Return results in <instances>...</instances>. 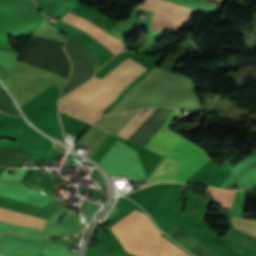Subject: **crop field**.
<instances>
[{"label": "crop field", "mask_w": 256, "mask_h": 256, "mask_svg": "<svg viewBox=\"0 0 256 256\" xmlns=\"http://www.w3.org/2000/svg\"><path fill=\"white\" fill-rule=\"evenodd\" d=\"M244 203H245L244 190L237 191L229 215L241 218Z\"/></svg>", "instance_id": "obj_13"}, {"label": "crop field", "mask_w": 256, "mask_h": 256, "mask_svg": "<svg viewBox=\"0 0 256 256\" xmlns=\"http://www.w3.org/2000/svg\"><path fill=\"white\" fill-rule=\"evenodd\" d=\"M162 246L158 256H190L170 241L165 238H161Z\"/></svg>", "instance_id": "obj_11"}, {"label": "crop field", "mask_w": 256, "mask_h": 256, "mask_svg": "<svg viewBox=\"0 0 256 256\" xmlns=\"http://www.w3.org/2000/svg\"><path fill=\"white\" fill-rule=\"evenodd\" d=\"M206 192L213 195V200L217 204L230 208L236 191H224L221 189L208 187Z\"/></svg>", "instance_id": "obj_10"}, {"label": "crop field", "mask_w": 256, "mask_h": 256, "mask_svg": "<svg viewBox=\"0 0 256 256\" xmlns=\"http://www.w3.org/2000/svg\"><path fill=\"white\" fill-rule=\"evenodd\" d=\"M0 206L49 219L53 212L42 207L0 196ZM0 207V221L42 230L47 219L15 212Z\"/></svg>", "instance_id": "obj_3"}, {"label": "crop field", "mask_w": 256, "mask_h": 256, "mask_svg": "<svg viewBox=\"0 0 256 256\" xmlns=\"http://www.w3.org/2000/svg\"><path fill=\"white\" fill-rule=\"evenodd\" d=\"M62 21L69 22L73 24L76 27L82 28L85 30L88 34H90L93 38H95L97 41L105 45L107 48H109L112 52L115 54L119 53L124 49L123 43L119 41L118 39L114 38L101 28L97 27L93 23L74 15L70 12H67V14L64 16Z\"/></svg>", "instance_id": "obj_7"}, {"label": "crop field", "mask_w": 256, "mask_h": 256, "mask_svg": "<svg viewBox=\"0 0 256 256\" xmlns=\"http://www.w3.org/2000/svg\"><path fill=\"white\" fill-rule=\"evenodd\" d=\"M199 147L195 145L190 152L179 162V164L167 175V177L187 160ZM210 157L201 148L185 161L163 182H184L196 170H198Z\"/></svg>", "instance_id": "obj_6"}, {"label": "crop field", "mask_w": 256, "mask_h": 256, "mask_svg": "<svg viewBox=\"0 0 256 256\" xmlns=\"http://www.w3.org/2000/svg\"><path fill=\"white\" fill-rule=\"evenodd\" d=\"M194 145L184 138L147 183L161 182Z\"/></svg>", "instance_id": "obj_8"}, {"label": "crop field", "mask_w": 256, "mask_h": 256, "mask_svg": "<svg viewBox=\"0 0 256 256\" xmlns=\"http://www.w3.org/2000/svg\"><path fill=\"white\" fill-rule=\"evenodd\" d=\"M136 8L154 12L152 19L182 24L192 9L164 0H147Z\"/></svg>", "instance_id": "obj_5"}, {"label": "crop field", "mask_w": 256, "mask_h": 256, "mask_svg": "<svg viewBox=\"0 0 256 256\" xmlns=\"http://www.w3.org/2000/svg\"><path fill=\"white\" fill-rule=\"evenodd\" d=\"M135 212L136 211L132 212L131 214H129L128 216H126L125 218L120 220L118 223H120L121 221H123L124 219L129 217L130 215L134 214ZM118 223H116L115 225H117ZM115 225H113L110 229L117 236L120 244L127 252H129L133 255H136V256H141V255L157 256L159 247H160L159 231L154 227L153 223L148 218V216H146L140 212H137L134 215H132L131 217H129L126 220H124L123 222H121L120 224H118L116 227L131 231L134 233H138V234H141V235H144V236H147V237L159 240V241L116 228V227H114ZM113 228L136 235L138 237H141V238H144V239H147V240L159 243V244H156V243L138 238L136 236L115 230L118 233V235L121 237L123 242L126 244V246L129 248V250L136 252L138 254H141V255H138V254L133 253L128 250V248L125 246V244L119 238V236L116 234V232L114 231Z\"/></svg>", "instance_id": "obj_2"}, {"label": "crop field", "mask_w": 256, "mask_h": 256, "mask_svg": "<svg viewBox=\"0 0 256 256\" xmlns=\"http://www.w3.org/2000/svg\"><path fill=\"white\" fill-rule=\"evenodd\" d=\"M146 70L128 58L102 79L93 77L59 100V112L89 124L98 119L119 93Z\"/></svg>", "instance_id": "obj_1"}, {"label": "crop field", "mask_w": 256, "mask_h": 256, "mask_svg": "<svg viewBox=\"0 0 256 256\" xmlns=\"http://www.w3.org/2000/svg\"><path fill=\"white\" fill-rule=\"evenodd\" d=\"M244 220L256 223V221H254V220H248V219H244ZM244 220L232 217L231 222L235 229H238L243 232H246V233L256 236V224H253V223H250V222H247Z\"/></svg>", "instance_id": "obj_12"}, {"label": "crop field", "mask_w": 256, "mask_h": 256, "mask_svg": "<svg viewBox=\"0 0 256 256\" xmlns=\"http://www.w3.org/2000/svg\"><path fill=\"white\" fill-rule=\"evenodd\" d=\"M180 113L181 111H177L172 116V118L161 128V130L145 146V148L164 156L163 159L156 166V168L149 175L146 182L149 180V178L154 174V172L160 167V165L165 161V159L170 155V153L176 148V146L184 138L179 134L168 129V126L170 125V123L174 119H176Z\"/></svg>", "instance_id": "obj_4"}, {"label": "crop field", "mask_w": 256, "mask_h": 256, "mask_svg": "<svg viewBox=\"0 0 256 256\" xmlns=\"http://www.w3.org/2000/svg\"><path fill=\"white\" fill-rule=\"evenodd\" d=\"M154 110L148 109L141 117L134 115L117 135L127 140Z\"/></svg>", "instance_id": "obj_9"}]
</instances>
